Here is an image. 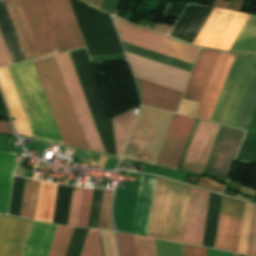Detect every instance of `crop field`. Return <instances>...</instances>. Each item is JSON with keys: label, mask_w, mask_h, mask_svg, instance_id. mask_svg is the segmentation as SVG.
<instances>
[{"label": "crop field", "mask_w": 256, "mask_h": 256, "mask_svg": "<svg viewBox=\"0 0 256 256\" xmlns=\"http://www.w3.org/2000/svg\"><path fill=\"white\" fill-rule=\"evenodd\" d=\"M57 185L40 181L34 219L51 223Z\"/></svg>", "instance_id": "00972430"}, {"label": "crop field", "mask_w": 256, "mask_h": 256, "mask_svg": "<svg viewBox=\"0 0 256 256\" xmlns=\"http://www.w3.org/2000/svg\"><path fill=\"white\" fill-rule=\"evenodd\" d=\"M135 109V108H134ZM134 109L112 119L117 155H122L134 117Z\"/></svg>", "instance_id": "4177f3b9"}, {"label": "crop field", "mask_w": 256, "mask_h": 256, "mask_svg": "<svg viewBox=\"0 0 256 256\" xmlns=\"http://www.w3.org/2000/svg\"><path fill=\"white\" fill-rule=\"evenodd\" d=\"M173 115L142 106L123 156L155 164Z\"/></svg>", "instance_id": "e52e79f7"}, {"label": "crop field", "mask_w": 256, "mask_h": 256, "mask_svg": "<svg viewBox=\"0 0 256 256\" xmlns=\"http://www.w3.org/2000/svg\"><path fill=\"white\" fill-rule=\"evenodd\" d=\"M154 242L156 256H182L180 244L156 239Z\"/></svg>", "instance_id": "d32e631a"}, {"label": "crop field", "mask_w": 256, "mask_h": 256, "mask_svg": "<svg viewBox=\"0 0 256 256\" xmlns=\"http://www.w3.org/2000/svg\"><path fill=\"white\" fill-rule=\"evenodd\" d=\"M84 1H86V2H88V3H90V4H92V5H94V6H96V7H99L100 2H101V0H84Z\"/></svg>", "instance_id": "73cf0c24"}, {"label": "crop field", "mask_w": 256, "mask_h": 256, "mask_svg": "<svg viewBox=\"0 0 256 256\" xmlns=\"http://www.w3.org/2000/svg\"><path fill=\"white\" fill-rule=\"evenodd\" d=\"M72 187L58 185L52 223L67 225Z\"/></svg>", "instance_id": "eef30255"}, {"label": "crop field", "mask_w": 256, "mask_h": 256, "mask_svg": "<svg viewBox=\"0 0 256 256\" xmlns=\"http://www.w3.org/2000/svg\"><path fill=\"white\" fill-rule=\"evenodd\" d=\"M181 247L183 256H207L206 248L183 244H181Z\"/></svg>", "instance_id": "c21b1889"}, {"label": "crop field", "mask_w": 256, "mask_h": 256, "mask_svg": "<svg viewBox=\"0 0 256 256\" xmlns=\"http://www.w3.org/2000/svg\"><path fill=\"white\" fill-rule=\"evenodd\" d=\"M105 153L114 154L111 117L85 49L67 53ZM66 53L56 55L59 68L91 150L103 152ZM103 152V153H104Z\"/></svg>", "instance_id": "8a807250"}, {"label": "crop field", "mask_w": 256, "mask_h": 256, "mask_svg": "<svg viewBox=\"0 0 256 256\" xmlns=\"http://www.w3.org/2000/svg\"><path fill=\"white\" fill-rule=\"evenodd\" d=\"M73 228L57 227L48 256H64Z\"/></svg>", "instance_id": "d3111659"}, {"label": "crop field", "mask_w": 256, "mask_h": 256, "mask_svg": "<svg viewBox=\"0 0 256 256\" xmlns=\"http://www.w3.org/2000/svg\"><path fill=\"white\" fill-rule=\"evenodd\" d=\"M81 256H103L99 230H89Z\"/></svg>", "instance_id": "bd1437ed"}, {"label": "crop field", "mask_w": 256, "mask_h": 256, "mask_svg": "<svg viewBox=\"0 0 256 256\" xmlns=\"http://www.w3.org/2000/svg\"><path fill=\"white\" fill-rule=\"evenodd\" d=\"M118 3H119V0H102L99 8L114 14Z\"/></svg>", "instance_id": "5d738f31"}, {"label": "crop field", "mask_w": 256, "mask_h": 256, "mask_svg": "<svg viewBox=\"0 0 256 256\" xmlns=\"http://www.w3.org/2000/svg\"><path fill=\"white\" fill-rule=\"evenodd\" d=\"M228 3H229V2H227V1L217 0V1L214 2V5H213V6L226 9Z\"/></svg>", "instance_id": "25e5ab78"}, {"label": "crop field", "mask_w": 256, "mask_h": 256, "mask_svg": "<svg viewBox=\"0 0 256 256\" xmlns=\"http://www.w3.org/2000/svg\"><path fill=\"white\" fill-rule=\"evenodd\" d=\"M8 67L34 136L63 144L33 62Z\"/></svg>", "instance_id": "f4fd0767"}, {"label": "crop field", "mask_w": 256, "mask_h": 256, "mask_svg": "<svg viewBox=\"0 0 256 256\" xmlns=\"http://www.w3.org/2000/svg\"><path fill=\"white\" fill-rule=\"evenodd\" d=\"M40 56L56 54L57 49L38 0H20Z\"/></svg>", "instance_id": "5142ce71"}, {"label": "crop field", "mask_w": 256, "mask_h": 256, "mask_svg": "<svg viewBox=\"0 0 256 256\" xmlns=\"http://www.w3.org/2000/svg\"><path fill=\"white\" fill-rule=\"evenodd\" d=\"M198 121H199V120H197V119L194 120V123H193V125H192V128H191V131H190V133H189L188 139H187V141H186L185 147H184V149H183L182 155H181V157H180L179 163H178L177 168H176V169H178V170L181 169V166H182V164H183L184 158H185V156H186L187 150H188V148H189V145H190V142H191V140H192L193 134H194V132H195L196 126H197V124H198Z\"/></svg>", "instance_id": "03da06ac"}, {"label": "crop field", "mask_w": 256, "mask_h": 256, "mask_svg": "<svg viewBox=\"0 0 256 256\" xmlns=\"http://www.w3.org/2000/svg\"><path fill=\"white\" fill-rule=\"evenodd\" d=\"M17 154L0 150V213L7 214L12 175Z\"/></svg>", "instance_id": "92a150f3"}, {"label": "crop field", "mask_w": 256, "mask_h": 256, "mask_svg": "<svg viewBox=\"0 0 256 256\" xmlns=\"http://www.w3.org/2000/svg\"><path fill=\"white\" fill-rule=\"evenodd\" d=\"M82 189L73 191L68 225L76 226Z\"/></svg>", "instance_id": "c035e120"}, {"label": "crop field", "mask_w": 256, "mask_h": 256, "mask_svg": "<svg viewBox=\"0 0 256 256\" xmlns=\"http://www.w3.org/2000/svg\"><path fill=\"white\" fill-rule=\"evenodd\" d=\"M39 181L25 179L20 216L33 219Z\"/></svg>", "instance_id": "ae1a2a85"}, {"label": "crop field", "mask_w": 256, "mask_h": 256, "mask_svg": "<svg viewBox=\"0 0 256 256\" xmlns=\"http://www.w3.org/2000/svg\"><path fill=\"white\" fill-rule=\"evenodd\" d=\"M220 53L201 49L182 98L201 102ZM235 55L221 53L195 117L211 120Z\"/></svg>", "instance_id": "34b2d1b8"}, {"label": "crop field", "mask_w": 256, "mask_h": 256, "mask_svg": "<svg viewBox=\"0 0 256 256\" xmlns=\"http://www.w3.org/2000/svg\"><path fill=\"white\" fill-rule=\"evenodd\" d=\"M5 3L26 59L29 60L40 57L19 0H5Z\"/></svg>", "instance_id": "bc2a9ffb"}, {"label": "crop field", "mask_w": 256, "mask_h": 256, "mask_svg": "<svg viewBox=\"0 0 256 256\" xmlns=\"http://www.w3.org/2000/svg\"><path fill=\"white\" fill-rule=\"evenodd\" d=\"M91 57L124 54L108 14L69 0Z\"/></svg>", "instance_id": "d8731c3e"}, {"label": "crop field", "mask_w": 256, "mask_h": 256, "mask_svg": "<svg viewBox=\"0 0 256 256\" xmlns=\"http://www.w3.org/2000/svg\"><path fill=\"white\" fill-rule=\"evenodd\" d=\"M255 198H256V195H255Z\"/></svg>", "instance_id": "1f2cbd36"}, {"label": "crop field", "mask_w": 256, "mask_h": 256, "mask_svg": "<svg viewBox=\"0 0 256 256\" xmlns=\"http://www.w3.org/2000/svg\"><path fill=\"white\" fill-rule=\"evenodd\" d=\"M193 120L192 118L174 115L156 164L176 168Z\"/></svg>", "instance_id": "22f410ed"}, {"label": "crop field", "mask_w": 256, "mask_h": 256, "mask_svg": "<svg viewBox=\"0 0 256 256\" xmlns=\"http://www.w3.org/2000/svg\"><path fill=\"white\" fill-rule=\"evenodd\" d=\"M211 10L209 7L187 5L170 35L193 43Z\"/></svg>", "instance_id": "4a817a6b"}, {"label": "crop field", "mask_w": 256, "mask_h": 256, "mask_svg": "<svg viewBox=\"0 0 256 256\" xmlns=\"http://www.w3.org/2000/svg\"><path fill=\"white\" fill-rule=\"evenodd\" d=\"M0 30L12 62L26 60L3 0H0Z\"/></svg>", "instance_id": "dafd665d"}, {"label": "crop field", "mask_w": 256, "mask_h": 256, "mask_svg": "<svg viewBox=\"0 0 256 256\" xmlns=\"http://www.w3.org/2000/svg\"><path fill=\"white\" fill-rule=\"evenodd\" d=\"M58 52L85 47L68 0H39Z\"/></svg>", "instance_id": "3316defc"}, {"label": "crop field", "mask_w": 256, "mask_h": 256, "mask_svg": "<svg viewBox=\"0 0 256 256\" xmlns=\"http://www.w3.org/2000/svg\"><path fill=\"white\" fill-rule=\"evenodd\" d=\"M112 194L103 193L98 228L112 230L110 219V202Z\"/></svg>", "instance_id": "028f5c9d"}, {"label": "crop field", "mask_w": 256, "mask_h": 256, "mask_svg": "<svg viewBox=\"0 0 256 256\" xmlns=\"http://www.w3.org/2000/svg\"><path fill=\"white\" fill-rule=\"evenodd\" d=\"M242 256H244V255H242Z\"/></svg>", "instance_id": "dbb93151"}, {"label": "crop field", "mask_w": 256, "mask_h": 256, "mask_svg": "<svg viewBox=\"0 0 256 256\" xmlns=\"http://www.w3.org/2000/svg\"><path fill=\"white\" fill-rule=\"evenodd\" d=\"M219 126L218 124L199 121L181 170L202 173Z\"/></svg>", "instance_id": "d1516ede"}, {"label": "crop field", "mask_w": 256, "mask_h": 256, "mask_svg": "<svg viewBox=\"0 0 256 256\" xmlns=\"http://www.w3.org/2000/svg\"><path fill=\"white\" fill-rule=\"evenodd\" d=\"M33 62L63 143L89 149L55 57Z\"/></svg>", "instance_id": "ac0d7876"}, {"label": "crop field", "mask_w": 256, "mask_h": 256, "mask_svg": "<svg viewBox=\"0 0 256 256\" xmlns=\"http://www.w3.org/2000/svg\"><path fill=\"white\" fill-rule=\"evenodd\" d=\"M122 45L126 52L136 54V55H139L154 61H158L176 68H180L189 72L191 71V68L193 66L192 64H189V63H186V62H183L159 53H155V52H152V51H149L125 42H122Z\"/></svg>", "instance_id": "730fd06b"}, {"label": "crop field", "mask_w": 256, "mask_h": 256, "mask_svg": "<svg viewBox=\"0 0 256 256\" xmlns=\"http://www.w3.org/2000/svg\"><path fill=\"white\" fill-rule=\"evenodd\" d=\"M233 256H240V255H238V254H234V253H233Z\"/></svg>", "instance_id": "89e229c0"}, {"label": "crop field", "mask_w": 256, "mask_h": 256, "mask_svg": "<svg viewBox=\"0 0 256 256\" xmlns=\"http://www.w3.org/2000/svg\"><path fill=\"white\" fill-rule=\"evenodd\" d=\"M116 234L120 256H136L133 235L118 232Z\"/></svg>", "instance_id": "5866460e"}, {"label": "crop field", "mask_w": 256, "mask_h": 256, "mask_svg": "<svg viewBox=\"0 0 256 256\" xmlns=\"http://www.w3.org/2000/svg\"><path fill=\"white\" fill-rule=\"evenodd\" d=\"M248 15L213 8L194 44L229 51Z\"/></svg>", "instance_id": "28ad6ade"}, {"label": "crop field", "mask_w": 256, "mask_h": 256, "mask_svg": "<svg viewBox=\"0 0 256 256\" xmlns=\"http://www.w3.org/2000/svg\"><path fill=\"white\" fill-rule=\"evenodd\" d=\"M102 192L94 189L88 227L97 228Z\"/></svg>", "instance_id": "0bd39190"}, {"label": "crop field", "mask_w": 256, "mask_h": 256, "mask_svg": "<svg viewBox=\"0 0 256 256\" xmlns=\"http://www.w3.org/2000/svg\"><path fill=\"white\" fill-rule=\"evenodd\" d=\"M199 179H200L199 176H194V175L187 174L185 179H184V182H188V183L197 185ZM198 186L205 187V188L215 190V191H218V192H221V190L223 189V186L217 184L213 179L204 178V177H201V179L198 183Z\"/></svg>", "instance_id": "b80d0937"}, {"label": "crop field", "mask_w": 256, "mask_h": 256, "mask_svg": "<svg viewBox=\"0 0 256 256\" xmlns=\"http://www.w3.org/2000/svg\"><path fill=\"white\" fill-rule=\"evenodd\" d=\"M13 132L9 123L0 122V133Z\"/></svg>", "instance_id": "425ffa30"}, {"label": "crop field", "mask_w": 256, "mask_h": 256, "mask_svg": "<svg viewBox=\"0 0 256 256\" xmlns=\"http://www.w3.org/2000/svg\"><path fill=\"white\" fill-rule=\"evenodd\" d=\"M134 238L137 256H155L153 239L136 235Z\"/></svg>", "instance_id": "e1f06a70"}, {"label": "crop field", "mask_w": 256, "mask_h": 256, "mask_svg": "<svg viewBox=\"0 0 256 256\" xmlns=\"http://www.w3.org/2000/svg\"><path fill=\"white\" fill-rule=\"evenodd\" d=\"M11 63H12L11 59L9 57L2 35L0 33V66L11 64Z\"/></svg>", "instance_id": "b54c1fbb"}, {"label": "crop field", "mask_w": 256, "mask_h": 256, "mask_svg": "<svg viewBox=\"0 0 256 256\" xmlns=\"http://www.w3.org/2000/svg\"><path fill=\"white\" fill-rule=\"evenodd\" d=\"M189 190L157 177L147 236L182 242Z\"/></svg>", "instance_id": "412701ff"}, {"label": "crop field", "mask_w": 256, "mask_h": 256, "mask_svg": "<svg viewBox=\"0 0 256 256\" xmlns=\"http://www.w3.org/2000/svg\"><path fill=\"white\" fill-rule=\"evenodd\" d=\"M220 199L221 196L210 193L202 246L213 248ZM244 206V202L222 196L219 215L242 221ZM241 224L219 216L214 248L237 252Z\"/></svg>", "instance_id": "dd49c442"}, {"label": "crop field", "mask_w": 256, "mask_h": 256, "mask_svg": "<svg viewBox=\"0 0 256 256\" xmlns=\"http://www.w3.org/2000/svg\"><path fill=\"white\" fill-rule=\"evenodd\" d=\"M89 229L74 228L65 256H80Z\"/></svg>", "instance_id": "750c4746"}, {"label": "crop field", "mask_w": 256, "mask_h": 256, "mask_svg": "<svg viewBox=\"0 0 256 256\" xmlns=\"http://www.w3.org/2000/svg\"><path fill=\"white\" fill-rule=\"evenodd\" d=\"M24 179L14 177L8 213L19 216Z\"/></svg>", "instance_id": "1d83c4d3"}, {"label": "crop field", "mask_w": 256, "mask_h": 256, "mask_svg": "<svg viewBox=\"0 0 256 256\" xmlns=\"http://www.w3.org/2000/svg\"><path fill=\"white\" fill-rule=\"evenodd\" d=\"M31 222L0 214V256H21Z\"/></svg>", "instance_id": "cbeb9de0"}, {"label": "crop field", "mask_w": 256, "mask_h": 256, "mask_svg": "<svg viewBox=\"0 0 256 256\" xmlns=\"http://www.w3.org/2000/svg\"><path fill=\"white\" fill-rule=\"evenodd\" d=\"M122 41L194 63L200 47L112 17Z\"/></svg>", "instance_id": "5a996713"}, {"label": "crop field", "mask_w": 256, "mask_h": 256, "mask_svg": "<svg viewBox=\"0 0 256 256\" xmlns=\"http://www.w3.org/2000/svg\"><path fill=\"white\" fill-rule=\"evenodd\" d=\"M171 29H172L171 26L160 25V24H156L155 27H154V30H157V31L162 32L164 34H169Z\"/></svg>", "instance_id": "d23c7cc5"}, {"label": "crop field", "mask_w": 256, "mask_h": 256, "mask_svg": "<svg viewBox=\"0 0 256 256\" xmlns=\"http://www.w3.org/2000/svg\"><path fill=\"white\" fill-rule=\"evenodd\" d=\"M56 227L33 221L22 256H47Z\"/></svg>", "instance_id": "214f88e0"}, {"label": "crop field", "mask_w": 256, "mask_h": 256, "mask_svg": "<svg viewBox=\"0 0 256 256\" xmlns=\"http://www.w3.org/2000/svg\"><path fill=\"white\" fill-rule=\"evenodd\" d=\"M208 196L191 187L183 242L201 246Z\"/></svg>", "instance_id": "d9b57169"}, {"label": "crop field", "mask_w": 256, "mask_h": 256, "mask_svg": "<svg viewBox=\"0 0 256 256\" xmlns=\"http://www.w3.org/2000/svg\"><path fill=\"white\" fill-rule=\"evenodd\" d=\"M252 208H253V205L246 203L241 237H240V243H239V249H238V252L244 253V254L246 251ZM246 254L256 255V206L255 205L253 208V214H252V220H251L250 233H249Z\"/></svg>", "instance_id": "a9b5d70f"}, {"label": "crop field", "mask_w": 256, "mask_h": 256, "mask_svg": "<svg viewBox=\"0 0 256 256\" xmlns=\"http://www.w3.org/2000/svg\"><path fill=\"white\" fill-rule=\"evenodd\" d=\"M93 189H83L77 226L87 227Z\"/></svg>", "instance_id": "120bbe31"}, {"label": "crop field", "mask_w": 256, "mask_h": 256, "mask_svg": "<svg viewBox=\"0 0 256 256\" xmlns=\"http://www.w3.org/2000/svg\"><path fill=\"white\" fill-rule=\"evenodd\" d=\"M135 81L143 104L176 112L182 92L138 78Z\"/></svg>", "instance_id": "733c2abd"}]
</instances>
